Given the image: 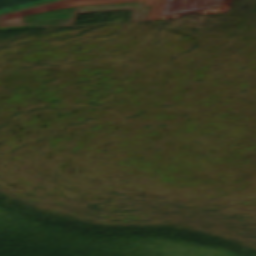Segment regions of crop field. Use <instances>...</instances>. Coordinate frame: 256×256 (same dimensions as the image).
<instances>
[{"mask_svg":"<svg viewBox=\"0 0 256 256\" xmlns=\"http://www.w3.org/2000/svg\"><path fill=\"white\" fill-rule=\"evenodd\" d=\"M61 0H0V15Z\"/></svg>","mask_w":256,"mask_h":256,"instance_id":"crop-field-1","label":"crop field"}]
</instances>
